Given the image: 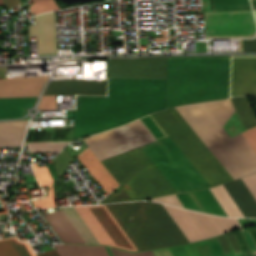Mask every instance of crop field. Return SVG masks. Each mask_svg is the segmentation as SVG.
Returning a JSON list of instances; mask_svg holds the SVG:
<instances>
[{
  "mask_svg": "<svg viewBox=\"0 0 256 256\" xmlns=\"http://www.w3.org/2000/svg\"><path fill=\"white\" fill-rule=\"evenodd\" d=\"M176 109L234 179L256 172V153L242 133L231 139L221 127L235 112L230 99ZM176 109L152 116L210 187L233 180ZM169 137L141 148L176 193L210 188ZM141 148L102 161L121 186L99 204L175 193Z\"/></svg>",
  "mask_w": 256,
  "mask_h": 256,
  "instance_id": "obj_1",
  "label": "crop field"
},
{
  "mask_svg": "<svg viewBox=\"0 0 256 256\" xmlns=\"http://www.w3.org/2000/svg\"><path fill=\"white\" fill-rule=\"evenodd\" d=\"M167 80L109 78L108 96H78L73 141L165 109Z\"/></svg>",
  "mask_w": 256,
  "mask_h": 256,
  "instance_id": "obj_2",
  "label": "crop field"
},
{
  "mask_svg": "<svg viewBox=\"0 0 256 256\" xmlns=\"http://www.w3.org/2000/svg\"><path fill=\"white\" fill-rule=\"evenodd\" d=\"M230 57L169 58L166 108L228 98Z\"/></svg>",
  "mask_w": 256,
  "mask_h": 256,
  "instance_id": "obj_3",
  "label": "crop field"
},
{
  "mask_svg": "<svg viewBox=\"0 0 256 256\" xmlns=\"http://www.w3.org/2000/svg\"><path fill=\"white\" fill-rule=\"evenodd\" d=\"M138 250L188 243V239L162 206L153 202L106 205Z\"/></svg>",
  "mask_w": 256,
  "mask_h": 256,
  "instance_id": "obj_4",
  "label": "crop field"
},
{
  "mask_svg": "<svg viewBox=\"0 0 256 256\" xmlns=\"http://www.w3.org/2000/svg\"><path fill=\"white\" fill-rule=\"evenodd\" d=\"M76 228L86 244H105L122 249L136 251L137 248L122 230L120 225L105 207L100 206H81L61 208Z\"/></svg>",
  "mask_w": 256,
  "mask_h": 256,
  "instance_id": "obj_5",
  "label": "crop field"
},
{
  "mask_svg": "<svg viewBox=\"0 0 256 256\" xmlns=\"http://www.w3.org/2000/svg\"><path fill=\"white\" fill-rule=\"evenodd\" d=\"M83 140L100 161L155 141L139 119Z\"/></svg>",
  "mask_w": 256,
  "mask_h": 256,
  "instance_id": "obj_6",
  "label": "crop field"
},
{
  "mask_svg": "<svg viewBox=\"0 0 256 256\" xmlns=\"http://www.w3.org/2000/svg\"><path fill=\"white\" fill-rule=\"evenodd\" d=\"M163 206L190 240H202L240 229L236 219L210 216L168 205ZM188 240V241H189Z\"/></svg>",
  "mask_w": 256,
  "mask_h": 256,
  "instance_id": "obj_7",
  "label": "crop field"
},
{
  "mask_svg": "<svg viewBox=\"0 0 256 256\" xmlns=\"http://www.w3.org/2000/svg\"><path fill=\"white\" fill-rule=\"evenodd\" d=\"M253 196L256 198V174L242 178ZM239 179L227 184L224 187L244 215V217H256V200L242 181ZM223 185L210 189L218 203L221 205L227 216L243 217Z\"/></svg>",
  "mask_w": 256,
  "mask_h": 256,
  "instance_id": "obj_8",
  "label": "crop field"
},
{
  "mask_svg": "<svg viewBox=\"0 0 256 256\" xmlns=\"http://www.w3.org/2000/svg\"><path fill=\"white\" fill-rule=\"evenodd\" d=\"M207 39L256 38L251 11L203 12Z\"/></svg>",
  "mask_w": 256,
  "mask_h": 256,
  "instance_id": "obj_9",
  "label": "crop field"
},
{
  "mask_svg": "<svg viewBox=\"0 0 256 256\" xmlns=\"http://www.w3.org/2000/svg\"><path fill=\"white\" fill-rule=\"evenodd\" d=\"M107 77L167 79L166 58L111 59Z\"/></svg>",
  "mask_w": 256,
  "mask_h": 256,
  "instance_id": "obj_10",
  "label": "crop field"
},
{
  "mask_svg": "<svg viewBox=\"0 0 256 256\" xmlns=\"http://www.w3.org/2000/svg\"><path fill=\"white\" fill-rule=\"evenodd\" d=\"M29 36H37L38 54H57L55 12L36 16Z\"/></svg>",
  "mask_w": 256,
  "mask_h": 256,
  "instance_id": "obj_11",
  "label": "crop field"
},
{
  "mask_svg": "<svg viewBox=\"0 0 256 256\" xmlns=\"http://www.w3.org/2000/svg\"><path fill=\"white\" fill-rule=\"evenodd\" d=\"M59 94L105 95L106 82H97L95 80L50 81L44 95Z\"/></svg>",
  "mask_w": 256,
  "mask_h": 256,
  "instance_id": "obj_12",
  "label": "crop field"
},
{
  "mask_svg": "<svg viewBox=\"0 0 256 256\" xmlns=\"http://www.w3.org/2000/svg\"><path fill=\"white\" fill-rule=\"evenodd\" d=\"M48 76L0 79V97L38 96Z\"/></svg>",
  "mask_w": 256,
  "mask_h": 256,
  "instance_id": "obj_13",
  "label": "crop field"
},
{
  "mask_svg": "<svg viewBox=\"0 0 256 256\" xmlns=\"http://www.w3.org/2000/svg\"><path fill=\"white\" fill-rule=\"evenodd\" d=\"M76 157L92 175V177L98 182V184L104 189L107 195L119 186L117 181L112 177V175L107 171V169L102 165V163L89 148L85 149Z\"/></svg>",
  "mask_w": 256,
  "mask_h": 256,
  "instance_id": "obj_14",
  "label": "crop field"
},
{
  "mask_svg": "<svg viewBox=\"0 0 256 256\" xmlns=\"http://www.w3.org/2000/svg\"><path fill=\"white\" fill-rule=\"evenodd\" d=\"M44 217L63 242L85 244L62 211L45 214Z\"/></svg>",
  "mask_w": 256,
  "mask_h": 256,
  "instance_id": "obj_15",
  "label": "crop field"
},
{
  "mask_svg": "<svg viewBox=\"0 0 256 256\" xmlns=\"http://www.w3.org/2000/svg\"><path fill=\"white\" fill-rule=\"evenodd\" d=\"M27 121L0 122V147L21 146Z\"/></svg>",
  "mask_w": 256,
  "mask_h": 256,
  "instance_id": "obj_16",
  "label": "crop field"
},
{
  "mask_svg": "<svg viewBox=\"0 0 256 256\" xmlns=\"http://www.w3.org/2000/svg\"><path fill=\"white\" fill-rule=\"evenodd\" d=\"M37 97L0 99V118H16L27 113L26 107L32 108Z\"/></svg>",
  "mask_w": 256,
  "mask_h": 256,
  "instance_id": "obj_17",
  "label": "crop field"
},
{
  "mask_svg": "<svg viewBox=\"0 0 256 256\" xmlns=\"http://www.w3.org/2000/svg\"><path fill=\"white\" fill-rule=\"evenodd\" d=\"M37 181L40 186L48 185V194L44 199L32 201L36 208H50L56 206L54 190L52 186L53 179L48 171L47 166L37 168L36 163L32 164Z\"/></svg>",
  "mask_w": 256,
  "mask_h": 256,
  "instance_id": "obj_18",
  "label": "crop field"
},
{
  "mask_svg": "<svg viewBox=\"0 0 256 256\" xmlns=\"http://www.w3.org/2000/svg\"><path fill=\"white\" fill-rule=\"evenodd\" d=\"M0 256H35L29 244L19 242L17 237L0 239Z\"/></svg>",
  "mask_w": 256,
  "mask_h": 256,
  "instance_id": "obj_19",
  "label": "crop field"
},
{
  "mask_svg": "<svg viewBox=\"0 0 256 256\" xmlns=\"http://www.w3.org/2000/svg\"><path fill=\"white\" fill-rule=\"evenodd\" d=\"M61 256H109L104 247L54 245Z\"/></svg>",
  "mask_w": 256,
  "mask_h": 256,
  "instance_id": "obj_20",
  "label": "crop field"
},
{
  "mask_svg": "<svg viewBox=\"0 0 256 256\" xmlns=\"http://www.w3.org/2000/svg\"><path fill=\"white\" fill-rule=\"evenodd\" d=\"M231 101L246 130L256 126V117L246 97H233Z\"/></svg>",
  "mask_w": 256,
  "mask_h": 256,
  "instance_id": "obj_21",
  "label": "crop field"
},
{
  "mask_svg": "<svg viewBox=\"0 0 256 256\" xmlns=\"http://www.w3.org/2000/svg\"><path fill=\"white\" fill-rule=\"evenodd\" d=\"M215 11L250 10L247 0H213Z\"/></svg>",
  "mask_w": 256,
  "mask_h": 256,
  "instance_id": "obj_22",
  "label": "crop field"
},
{
  "mask_svg": "<svg viewBox=\"0 0 256 256\" xmlns=\"http://www.w3.org/2000/svg\"><path fill=\"white\" fill-rule=\"evenodd\" d=\"M60 142H71V141H60ZM49 143H59V142H49ZM67 143L60 144H48V142L39 143H26L30 153L33 152H47V151H60L64 145Z\"/></svg>",
  "mask_w": 256,
  "mask_h": 256,
  "instance_id": "obj_23",
  "label": "crop field"
},
{
  "mask_svg": "<svg viewBox=\"0 0 256 256\" xmlns=\"http://www.w3.org/2000/svg\"><path fill=\"white\" fill-rule=\"evenodd\" d=\"M34 3L30 5V9L34 13V15L45 12L57 10L58 7L54 3L53 0H32Z\"/></svg>",
  "mask_w": 256,
  "mask_h": 256,
  "instance_id": "obj_24",
  "label": "crop field"
},
{
  "mask_svg": "<svg viewBox=\"0 0 256 256\" xmlns=\"http://www.w3.org/2000/svg\"><path fill=\"white\" fill-rule=\"evenodd\" d=\"M38 109H56V96H43Z\"/></svg>",
  "mask_w": 256,
  "mask_h": 256,
  "instance_id": "obj_25",
  "label": "crop field"
},
{
  "mask_svg": "<svg viewBox=\"0 0 256 256\" xmlns=\"http://www.w3.org/2000/svg\"><path fill=\"white\" fill-rule=\"evenodd\" d=\"M152 201H158V202H163V203L175 205V206H178V207H183L181 205L180 201L178 200V198L176 197V195L160 197V198L152 199Z\"/></svg>",
  "mask_w": 256,
  "mask_h": 256,
  "instance_id": "obj_26",
  "label": "crop field"
},
{
  "mask_svg": "<svg viewBox=\"0 0 256 256\" xmlns=\"http://www.w3.org/2000/svg\"><path fill=\"white\" fill-rule=\"evenodd\" d=\"M243 135L256 152V127L243 132Z\"/></svg>",
  "mask_w": 256,
  "mask_h": 256,
  "instance_id": "obj_27",
  "label": "crop field"
},
{
  "mask_svg": "<svg viewBox=\"0 0 256 256\" xmlns=\"http://www.w3.org/2000/svg\"><path fill=\"white\" fill-rule=\"evenodd\" d=\"M110 250L113 256H153L151 251L132 254V253H128V252L117 250V249L110 248Z\"/></svg>",
  "mask_w": 256,
  "mask_h": 256,
  "instance_id": "obj_28",
  "label": "crop field"
},
{
  "mask_svg": "<svg viewBox=\"0 0 256 256\" xmlns=\"http://www.w3.org/2000/svg\"><path fill=\"white\" fill-rule=\"evenodd\" d=\"M226 236H227V238L229 240V243H230V245L232 247V250H233L234 254L236 255V254L240 253L241 251H240L238 242L236 240L235 234L232 233V234H228Z\"/></svg>",
  "mask_w": 256,
  "mask_h": 256,
  "instance_id": "obj_29",
  "label": "crop field"
},
{
  "mask_svg": "<svg viewBox=\"0 0 256 256\" xmlns=\"http://www.w3.org/2000/svg\"><path fill=\"white\" fill-rule=\"evenodd\" d=\"M217 240H218L220 246L222 247L223 251L225 252V254L229 253L231 247L228 243L226 236L224 235V236L217 237Z\"/></svg>",
  "mask_w": 256,
  "mask_h": 256,
  "instance_id": "obj_30",
  "label": "crop field"
},
{
  "mask_svg": "<svg viewBox=\"0 0 256 256\" xmlns=\"http://www.w3.org/2000/svg\"><path fill=\"white\" fill-rule=\"evenodd\" d=\"M7 10L21 4L20 0H3Z\"/></svg>",
  "mask_w": 256,
  "mask_h": 256,
  "instance_id": "obj_31",
  "label": "crop field"
},
{
  "mask_svg": "<svg viewBox=\"0 0 256 256\" xmlns=\"http://www.w3.org/2000/svg\"><path fill=\"white\" fill-rule=\"evenodd\" d=\"M36 255L37 256H59L55 249L46 251V252H42V253H38Z\"/></svg>",
  "mask_w": 256,
  "mask_h": 256,
  "instance_id": "obj_32",
  "label": "crop field"
},
{
  "mask_svg": "<svg viewBox=\"0 0 256 256\" xmlns=\"http://www.w3.org/2000/svg\"><path fill=\"white\" fill-rule=\"evenodd\" d=\"M164 40H167V37H164V38L157 37V38H155V42L164 41Z\"/></svg>",
  "mask_w": 256,
  "mask_h": 256,
  "instance_id": "obj_33",
  "label": "crop field"
},
{
  "mask_svg": "<svg viewBox=\"0 0 256 256\" xmlns=\"http://www.w3.org/2000/svg\"><path fill=\"white\" fill-rule=\"evenodd\" d=\"M161 36H167V32L166 31H161Z\"/></svg>",
  "mask_w": 256,
  "mask_h": 256,
  "instance_id": "obj_34",
  "label": "crop field"
},
{
  "mask_svg": "<svg viewBox=\"0 0 256 256\" xmlns=\"http://www.w3.org/2000/svg\"><path fill=\"white\" fill-rule=\"evenodd\" d=\"M0 5H3L2 0H0Z\"/></svg>",
  "mask_w": 256,
  "mask_h": 256,
  "instance_id": "obj_35",
  "label": "crop field"
},
{
  "mask_svg": "<svg viewBox=\"0 0 256 256\" xmlns=\"http://www.w3.org/2000/svg\"><path fill=\"white\" fill-rule=\"evenodd\" d=\"M254 14H255V17H256V12H254Z\"/></svg>",
  "mask_w": 256,
  "mask_h": 256,
  "instance_id": "obj_36",
  "label": "crop field"
}]
</instances>
